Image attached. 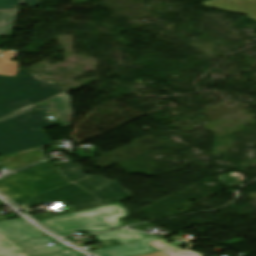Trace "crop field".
<instances>
[{
	"label": "crop field",
	"mask_w": 256,
	"mask_h": 256,
	"mask_svg": "<svg viewBox=\"0 0 256 256\" xmlns=\"http://www.w3.org/2000/svg\"><path fill=\"white\" fill-rule=\"evenodd\" d=\"M71 183L82 178L88 177L81 171V167L76 163L57 168ZM122 198L123 200L131 198L128 191L124 190L117 182L105 178L93 176L65 187L56 189L44 195L35 197L27 206L32 207L42 203L60 200L66 203L70 209L58 213L34 218L41 220L62 214L91 209L108 205L107 200Z\"/></svg>",
	"instance_id": "obj_1"
},
{
	"label": "crop field",
	"mask_w": 256,
	"mask_h": 256,
	"mask_svg": "<svg viewBox=\"0 0 256 256\" xmlns=\"http://www.w3.org/2000/svg\"><path fill=\"white\" fill-rule=\"evenodd\" d=\"M49 114L55 116L46 104L41 103L0 121V155L49 144L47 135L40 130L57 124L55 120L47 119Z\"/></svg>",
	"instance_id": "obj_2"
},
{
	"label": "crop field",
	"mask_w": 256,
	"mask_h": 256,
	"mask_svg": "<svg viewBox=\"0 0 256 256\" xmlns=\"http://www.w3.org/2000/svg\"><path fill=\"white\" fill-rule=\"evenodd\" d=\"M66 91L57 84L47 85L20 69L17 78L0 76V118Z\"/></svg>",
	"instance_id": "obj_3"
},
{
	"label": "crop field",
	"mask_w": 256,
	"mask_h": 256,
	"mask_svg": "<svg viewBox=\"0 0 256 256\" xmlns=\"http://www.w3.org/2000/svg\"><path fill=\"white\" fill-rule=\"evenodd\" d=\"M20 218L0 222V256H44L70 249L59 243L49 247L46 243L55 240Z\"/></svg>",
	"instance_id": "obj_4"
},
{
	"label": "crop field",
	"mask_w": 256,
	"mask_h": 256,
	"mask_svg": "<svg viewBox=\"0 0 256 256\" xmlns=\"http://www.w3.org/2000/svg\"><path fill=\"white\" fill-rule=\"evenodd\" d=\"M65 184L68 182L46 161L0 180V191L12 200L26 203L38 194Z\"/></svg>",
	"instance_id": "obj_5"
},
{
	"label": "crop field",
	"mask_w": 256,
	"mask_h": 256,
	"mask_svg": "<svg viewBox=\"0 0 256 256\" xmlns=\"http://www.w3.org/2000/svg\"><path fill=\"white\" fill-rule=\"evenodd\" d=\"M124 216H128L126 209L117 203L49 218L41 220V222L64 236L76 231L101 232L122 227L123 225L118 218Z\"/></svg>",
	"instance_id": "obj_6"
},
{
	"label": "crop field",
	"mask_w": 256,
	"mask_h": 256,
	"mask_svg": "<svg viewBox=\"0 0 256 256\" xmlns=\"http://www.w3.org/2000/svg\"><path fill=\"white\" fill-rule=\"evenodd\" d=\"M157 239H160V237L151 236L134 242L126 243L121 246L105 248L92 252L101 256H136L147 254L158 251L147 245L148 243Z\"/></svg>",
	"instance_id": "obj_7"
},
{
	"label": "crop field",
	"mask_w": 256,
	"mask_h": 256,
	"mask_svg": "<svg viewBox=\"0 0 256 256\" xmlns=\"http://www.w3.org/2000/svg\"><path fill=\"white\" fill-rule=\"evenodd\" d=\"M43 158L39 147L0 157V162L11 169H17Z\"/></svg>",
	"instance_id": "obj_8"
},
{
	"label": "crop field",
	"mask_w": 256,
	"mask_h": 256,
	"mask_svg": "<svg viewBox=\"0 0 256 256\" xmlns=\"http://www.w3.org/2000/svg\"><path fill=\"white\" fill-rule=\"evenodd\" d=\"M47 103L60 118L63 127L71 125L73 112L70 97L66 93L47 101Z\"/></svg>",
	"instance_id": "obj_9"
},
{
	"label": "crop field",
	"mask_w": 256,
	"mask_h": 256,
	"mask_svg": "<svg viewBox=\"0 0 256 256\" xmlns=\"http://www.w3.org/2000/svg\"><path fill=\"white\" fill-rule=\"evenodd\" d=\"M248 0H214L202 5L246 15Z\"/></svg>",
	"instance_id": "obj_10"
},
{
	"label": "crop field",
	"mask_w": 256,
	"mask_h": 256,
	"mask_svg": "<svg viewBox=\"0 0 256 256\" xmlns=\"http://www.w3.org/2000/svg\"><path fill=\"white\" fill-rule=\"evenodd\" d=\"M147 236H151V235L117 230V231L97 235L93 239L97 242H103V241L115 239L123 244L133 240L141 239Z\"/></svg>",
	"instance_id": "obj_11"
},
{
	"label": "crop field",
	"mask_w": 256,
	"mask_h": 256,
	"mask_svg": "<svg viewBox=\"0 0 256 256\" xmlns=\"http://www.w3.org/2000/svg\"><path fill=\"white\" fill-rule=\"evenodd\" d=\"M18 52L6 50L0 56V75H7L16 77L19 70V63L15 61H9L14 56H16Z\"/></svg>",
	"instance_id": "obj_12"
},
{
	"label": "crop field",
	"mask_w": 256,
	"mask_h": 256,
	"mask_svg": "<svg viewBox=\"0 0 256 256\" xmlns=\"http://www.w3.org/2000/svg\"><path fill=\"white\" fill-rule=\"evenodd\" d=\"M168 241L169 240L161 239V240L152 242L149 245L159 249L161 252H163L164 254H166L168 256H173V255L183 251V250L177 248L178 246H180L182 244H179L177 242L170 244V243H167Z\"/></svg>",
	"instance_id": "obj_13"
},
{
	"label": "crop field",
	"mask_w": 256,
	"mask_h": 256,
	"mask_svg": "<svg viewBox=\"0 0 256 256\" xmlns=\"http://www.w3.org/2000/svg\"><path fill=\"white\" fill-rule=\"evenodd\" d=\"M16 9L0 10V35H8ZM6 21L7 25H4ZM4 26H7L4 28ZM11 31V30H10Z\"/></svg>",
	"instance_id": "obj_14"
},
{
	"label": "crop field",
	"mask_w": 256,
	"mask_h": 256,
	"mask_svg": "<svg viewBox=\"0 0 256 256\" xmlns=\"http://www.w3.org/2000/svg\"><path fill=\"white\" fill-rule=\"evenodd\" d=\"M40 0H0V9L18 8L19 5L26 4L27 7H35ZM17 4V6H13Z\"/></svg>",
	"instance_id": "obj_15"
},
{
	"label": "crop field",
	"mask_w": 256,
	"mask_h": 256,
	"mask_svg": "<svg viewBox=\"0 0 256 256\" xmlns=\"http://www.w3.org/2000/svg\"><path fill=\"white\" fill-rule=\"evenodd\" d=\"M247 16L256 20V0H249Z\"/></svg>",
	"instance_id": "obj_16"
},
{
	"label": "crop field",
	"mask_w": 256,
	"mask_h": 256,
	"mask_svg": "<svg viewBox=\"0 0 256 256\" xmlns=\"http://www.w3.org/2000/svg\"><path fill=\"white\" fill-rule=\"evenodd\" d=\"M49 256H83V254L78 253L76 251L69 250V251H65V252H61V253H57Z\"/></svg>",
	"instance_id": "obj_17"
},
{
	"label": "crop field",
	"mask_w": 256,
	"mask_h": 256,
	"mask_svg": "<svg viewBox=\"0 0 256 256\" xmlns=\"http://www.w3.org/2000/svg\"><path fill=\"white\" fill-rule=\"evenodd\" d=\"M178 256H205V255H202V254H199V253H196V252H193V251H186Z\"/></svg>",
	"instance_id": "obj_18"
},
{
	"label": "crop field",
	"mask_w": 256,
	"mask_h": 256,
	"mask_svg": "<svg viewBox=\"0 0 256 256\" xmlns=\"http://www.w3.org/2000/svg\"><path fill=\"white\" fill-rule=\"evenodd\" d=\"M141 256H166V255H164L163 253H161L159 251V252H156V253H151V254L141 255Z\"/></svg>",
	"instance_id": "obj_19"
},
{
	"label": "crop field",
	"mask_w": 256,
	"mask_h": 256,
	"mask_svg": "<svg viewBox=\"0 0 256 256\" xmlns=\"http://www.w3.org/2000/svg\"><path fill=\"white\" fill-rule=\"evenodd\" d=\"M5 218H3L1 215H0V220H4Z\"/></svg>",
	"instance_id": "obj_20"
},
{
	"label": "crop field",
	"mask_w": 256,
	"mask_h": 256,
	"mask_svg": "<svg viewBox=\"0 0 256 256\" xmlns=\"http://www.w3.org/2000/svg\"><path fill=\"white\" fill-rule=\"evenodd\" d=\"M0 206H4V204L0 201Z\"/></svg>",
	"instance_id": "obj_21"
},
{
	"label": "crop field",
	"mask_w": 256,
	"mask_h": 256,
	"mask_svg": "<svg viewBox=\"0 0 256 256\" xmlns=\"http://www.w3.org/2000/svg\"><path fill=\"white\" fill-rule=\"evenodd\" d=\"M2 52V50H0V53Z\"/></svg>",
	"instance_id": "obj_22"
}]
</instances>
